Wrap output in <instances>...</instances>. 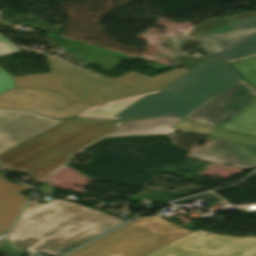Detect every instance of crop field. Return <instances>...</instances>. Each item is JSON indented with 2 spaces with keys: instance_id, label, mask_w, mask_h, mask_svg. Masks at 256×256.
Instances as JSON below:
<instances>
[{
  "instance_id": "obj_16",
  "label": "crop field",
  "mask_w": 256,
  "mask_h": 256,
  "mask_svg": "<svg viewBox=\"0 0 256 256\" xmlns=\"http://www.w3.org/2000/svg\"><path fill=\"white\" fill-rule=\"evenodd\" d=\"M18 51L17 47L0 34V56ZM10 88H16L13 76L0 69V93Z\"/></svg>"
},
{
  "instance_id": "obj_4",
  "label": "crop field",
  "mask_w": 256,
  "mask_h": 256,
  "mask_svg": "<svg viewBox=\"0 0 256 256\" xmlns=\"http://www.w3.org/2000/svg\"><path fill=\"white\" fill-rule=\"evenodd\" d=\"M189 232L161 217L140 219L66 256H144Z\"/></svg>"
},
{
  "instance_id": "obj_3",
  "label": "crop field",
  "mask_w": 256,
  "mask_h": 256,
  "mask_svg": "<svg viewBox=\"0 0 256 256\" xmlns=\"http://www.w3.org/2000/svg\"><path fill=\"white\" fill-rule=\"evenodd\" d=\"M114 123L68 119L0 154V167L26 173L37 182L70 161V154L116 128Z\"/></svg>"
},
{
  "instance_id": "obj_17",
  "label": "crop field",
  "mask_w": 256,
  "mask_h": 256,
  "mask_svg": "<svg viewBox=\"0 0 256 256\" xmlns=\"http://www.w3.org/2000/svg\"><path fill=\"white\" fill-rule=\"evenodd\" d=\"M230 66L236 70L250 85L256 84V57Z\"/></svg>"
},
{
  "instance_id": "obj_13",
  "label": "crop field",
  "mask_w": 256,
  "mask_h": 256,
  "mask_svg": "<svg viewBox=\"0 0 256 256\" xmlns=\"http://www.w3.org/2000/svg\"><path fill=\"white\" fill-rule=\"evenodd\" d=\"M0 175V233L7 230L27 198L21 192L28 186H17L3 179ZM4 243L0 242V245Z\"/></svg>"
},
{
  "instance_id": "obj_18",
  "label": "crop field",
  "mask_w": 256,
  "mask_h": 256,
  "mask_svg": "<svg viewBox=\"0 0 256 256\" xmlns=\"http://www.w3.org/2000/svg\"><path fill=\"white\" fill-rule=\"evenodd\" d=\"M208 136L217 137V138H221V139L234 141V142H238V143L256 147V139L255 138L248 137L245 135H241V134L234 133V132L227 131V130L220 129V128L214 130Z\"/></svg>"
},
{
  "instance_id": "obj_22",
  "label": "crop field",
  "mask_w": 256,
  "mask_h": 256,
  "mask_svg": "<svg viewBox=\"0 0 256 256\" xmlns=\"http://www.w3.org/2000/svg\"><path fill=\"white\" fill-rule=\"evenodd\" d=\"M255 175H256V173H255Z\"/></svg>"
},
{
  "instance_id": "obj_19",
  "label": "crop field",
  "mask_w": 256,
  "mask_h": 256,
  "mask_svg": "<svg viewBox=\"0 0 256 256\" xmlns=\"http://www.w3.org/2000/svg\"><path fill=\"white\" fill-rule=\"evenodd\" d=\"M173 128H179V129L196 132L204 135H207L211 131L216 129L213 127H209V126H205V125H201V124H197V123H193L185 120L180 121L179 123L174 125Z\"/></svg>"
},
{
  "instance_id": "obj_7",
  "label": "crop field",
  "mask_w": 256,
  "mask_h": 256,
  "mask_svg": "<svg viewBox=\"0 0 256 256\" xmlns=\"http://www.w3.org/2000/svg\"><path fill=\"white\" fill-rule=\"evenodd\" d=\"M146 256H256V237H230L196 230Z\"/></svg>"
},
{
  "instance_id": "obj_12",
  "label": "crop field",
  "mask_w": 256,
  "mask_h": 256,
  "mask_svg": "<svg viewBox=\"0 0 256 256\" xmlns=\"http://www.w3.org/2000/svg\"><path fill=\"white\" fill-rule=\"evenodd\" d=\"M191 158L251 169L256 166V148L214 138L206 148H195Z\"/></svg>"
},
{
  "instance_id": "obj_10",
  "label": "crop field",
  "mask_w": 256,
  "mask_h": 256,
  "mask_svg": "<svg viewBox=\"0 0 256 256\" xmlns=\"http://www.w3.org/2000/svg\"><path fill=\"white\" fill-rule=\"evenodd\" d=\"M187 70L176 69L152 78L129 72L119 78H107L94 73L106 102L161 89L186 73Z\"/></svg>"
},
{
  "instance_id": "obj_1",
  "label": "crop field",
  "mask_w": 256,
  "mask_h": 256,
  "mask_svg": "<svg viewBox=\"0 0 256 256\" xmlns=\"http://www.w3.org/2000/svg\"><path fill=\"white\" fill-rule=\"evenodd\" d=\"M238 79L225 60L209 58L161 90L96 105L74 117L122 121L166 115L184 118Z\"/></svg>"
},
{
  "instance_id": "obj_6",
  "label": "crop field",
  "mask_w": 256,
  "mask_h": 256,
  "mask_svg": "<svg viewBox=\"0 0 256 256\" xmlns=\"http://www.w3.org/2000/svg\"><path fill=\"white\" fill-rule=\"evenodd\" d=\"M46 59L50 73L14 77L17 88L55 90L66 101L105 103L92 71L53 56L46 55Z\"/></svg>"
},
{
  "instance_id": "obj_14",
  "label": "crop field",
  "mask_w": 256,
  "mask_h": 256,
  "mask_svg": "<svg viewBox=\"0 0 256 256\" xmlns=\"http://www.w3.org/2000/svg\"><path fill=\"white\" fill-rule=\"evenodd\" d=\"M180 120L182 119L171 116L133 120L123 124L109 136L135 134H170L176 130L170 127Z\"/></svg>"
},
{
  "instance_id": "obj_5",
  "label": "crop field",
  "mask_w": 256,
  "mask_h": 256,
  "mask_svg": "<svg viewBox=\"0 0 256 256\" xmlns=\"http://www.w3.org/2000/svg\"><path fill=\"white\" fill-rule=\"evenodd\" d=\"M189 37L211 39L220 48L203 53L228 64L256 56V12L210 19L194 26Z\"/></svg>"
},
{
  "instance_id": "obj_21",
  "label": "crop field",
  "mask_w": 256,
  "mask_h": 256,
  "mask_svg": "<svg viewBox=\"0 0 256 256\" xmlns=\"http://www.w3.org/2000/svg\"><path fill=\"white\" fill-rule=\"evenodd\" d=\"M254 88H255V90H256V86H253Z\"/></svg>"
},
{
  "instance_id": "obj_20",
  "label": "crop field",
  "mask_w": 256,
  "mask_h": 256,
  "mask_svg": "<svg viewBox=\"0 0 256 256\" xmlns=\"http://www.w3.org/2000/svg\"><path fill=\"white\" fill-rule=\"evenodd\" d=\"M209 58L208 56H191V55H185V56H178L174 57L175 60H177L182 66H184L186 69L190 70L199 63L203 62Z\"/></svg>"
},
{
  "instance_id": "obj_11",
  "label": "crop field",
  "mask_w": 256,
  "mask_h": 256,
  "mask_svg": "<svg viewBox=\"0 0 256 256\" xmlns=\"http://www.w3.org/2000/svg\"><path fill=\"white\" fill-rule=\"evenodd\" d=\"M63 120H53L25 110L0 109V153Z\"/></svg>"
},
{
  "instance_id": "obj_2",
  "label": "crop field",
  "mask_w": 256,
  "mask_h": 256,
  "mask_svg": "<svg viewBox=\"0 0 256 256\" xmlns=\"http://www.w3.org/2000/svg\"><path fill=\"white\" fill-rule=\"evenodd\" d=\"M124 221L79 204L54 199L28 203L7 239L29 254L58 256Z\"/></svg>"
},
{
  "instance_id": "obj_15",
  "label": "crop field",
  "mask_w": 256,
  "mask_h": 256,
  "mask_svg": "<svg viewBox=\"0 0 256 256\" xmlns=\"http://www.w3.org/2000/svg\"><path fill=\"white\" fill-rule=\"evenodd\" d=\"M220 128L256 138V103Z\"/></svg>"
},
{
  "instance_id": "obj_9",
  "label": "crop field",
  "mask_w": 256,
  "mask_h": 256,
  "mask_svg": "<svg viewBox=\"0 0 256 256\" xmlns=\"http://www.w3.org/2000/svg\"><path fill=\"white\" fill-rule=\"evenodd\" d=\"M256 100V92L241 78L185 119L218 127Z\"/></svg>"
},
{
  "instance_id": "obj_8",
  "label": "crop field",
  "mask_w": 256,
  "mask_h": 256,
  "mask_svg": "<svg viewBox=\"0 0 256 256\" xmlns=\"http://www.w3.org/2000/svg\"><path fill=\"white\" fill-rule=\"evenodd\" d=\"M92 106L65 102L57 92L37 88L10 89L0 94V107L24 108L53 118H69Z\"/></svg>"
}]
</instances>
